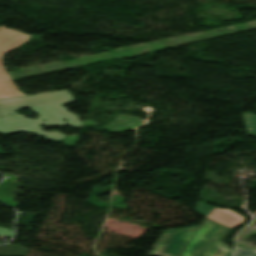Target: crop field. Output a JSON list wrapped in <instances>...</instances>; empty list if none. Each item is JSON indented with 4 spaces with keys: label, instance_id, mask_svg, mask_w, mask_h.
Listing matches in <instances>:
<instances>
[{
    "label": "crop field",
    "instance_id": "1",
    "mask_svg": "<svg viewBox=\"0 0 256 256\" xmlns=\"http://www.w3.org/2000/svg\"><path fill=\"white\" fill-rule=\"evenodd\" d=\"M75 100L66 90L43 93L35 96H19L0 99V133L7 134L13 132L26 131L34 135L48 139L62 140L65 136L58 132H45L39 125L64 126L66 124L73 127L82 126V121L67 109L61 107L64 103L74 102ZM29 107L38 113V120H31L15 113L19 108ZM8 113L13 115L9 116ZM69 120L63 122V118ZM47 120L45 123L41 120ZM51 122V124H49ZM23 123H25L23 125ZM42 134L46 136H42ZM51 136L52 138H50Z\"/></svg>",
    "mask_w": 256,
    "mask_h": 256
},
{
    "label": "crop field",
    "instance_id": "2",
    "mask_svg": "<svg viewBox=\"0 0 256 256\" xmlns=\"http://www.w3.org/2000/svg\"><path fill=\"white\" fill-rule=\"evenodd\" d=\"M229 231L230 229L205 219L181 256H226L229 251L219 240Z\"/></svg>",
    "mask_w": 256,
    "mask_h": 256
},
{
    "label": "crop field",
    "instance_id": "3",
    "mask_svg": "<svg viewBox=\"0 0 256 256\" xmlns=\"http://www.w3.org/2000/svg\"><path fill=\"white\" fill-rule=\"evenodd\" d=\"M29 38V35L17 33L0 26V98L25 95L17 90L11 77L3 67V58L7 52L19 47Z\"/></svg>",
    "mask_w": 256,
    "mask_h": 256
},
{
    "label": "crop field",
    "instance_id": "4",
    "mask_svg": "<svg viewBox=\"0 0 256 256\" xmlns=\"http://www.w3.org/2000/svg\"><path fill=\"white\" fill-rule=\"evenodd\" d=\"M198 226L164 232L160 241L158 242L153 253L171 254V256H180L190 241Z\"/></svg>",
    "mask_w": 256,
    "mask_h": 256
},
{
    "label": "crop field",
    "instance_id": "5",
    "mask_svg": "<svg viewBox=\"0 0 256 256\" xmlns=\"http://www.w3.org/2000/svg\"><path fill=\"white\" fill-rule=\"evenodd\" d=\"M195 211L230 228L236 227L245 221V217L229 209L211 207L201 201H198Z\"/></svg>",
    "mask_w": 256,
    "mask_h": 256
},
{
    "label": "crop field",
    "instance_id": "6",
    "mask_svg": "<svg viewBox=\"0 0 256 256\" xmlns=\"http://www.w3.org/2000/svg\"><path fill=\"white\" fill-rule=\"evenodd\" d=\"M247 124L249 135L256 136V115L242 113Z\"/></svg>",
    "mask_w": 256,
    "mask_h": 256
},
{
    "label": "crop field",
    "instance_id": "7",
    "mask_svg": "<svg viewBox=\"0 0 256 256\" xmlns=\"http://www.w3.org/2000/svg\"><path fill=\"white\" fill-rule=\"evenodd\" d=\"M234 256H256V252H253V251H236Z\"/></svg>",
    "mask_w": 256,
    "mask_h": 256
},
{
    "label": "crop field",
    "instance_id": "8",
    "mask_svg": "<svg viewBox=\"0 0 256 256\" xmlns=\"http://www.w3.org/2000/svg\"><path fill=\"white\" fill-rule=\"evenodd\" d=\"M0 235L13 236V232L7 228L0 227Z\"/></svg>",
    "mask_w": 256,
    "mask_h": 256
},
{
    "label": "crop field",
    "instance_id": "9",
    "mask_svg": "<svg viewBox=\"0 0 256 256\" xmlns=\"http://www.w3.org/2000/svg\"><path fill=\"white\" fill-rule=\"evenodd\" d=\"M153 256H170V255H162V254H151Z\"/></svg>",
    "mask_w": 256,
    "mask_h": 256
}]
</instances>
